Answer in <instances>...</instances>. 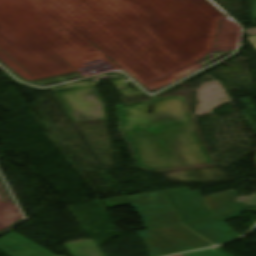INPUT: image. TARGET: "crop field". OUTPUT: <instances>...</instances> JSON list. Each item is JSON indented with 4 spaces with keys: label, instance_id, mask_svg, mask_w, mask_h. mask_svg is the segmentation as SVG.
Segmentation results:
<instances>
[{
    "label": "crop field",
    "instance_id": "crop-field-1",
    "mask_svg": "<svg viewBox=\"0 0 256 256\" xmlns=\"http://www.w3.org/2000/svg\"><path fill=\"white\" fill-rule=\"evenodd\" d=\"M107 206L130 203L145 229L185 223L212 216L198 191L188 188L157 191L105 200Z\"/></svg>",
    "mask_w": 256,
    "mask_h": 256
},
{
    "label": "crop field",
    "instance_id": "crop-field-2",
    "mask_svg": "<svg viewBox=\"0 0 256 256\" xmlns=\"http://www.w3.org/2000/svg\"><path fill=\"white\" fill-rule=\"evenodd\" d=\"M237 196L238 195L233 190L204 196L203 199L205 200L213 215L236 208H238V210L216 215L185 225L216 245L239 236L237 233L233 232L223 221L240 216L242 211L256 212V208H244L245 206L243 207L242 205L232 203V201Z\"/></svg>",
    "mask_w": 256,
    "mask_h": 256
},
{
    "label": "crop field",
    "instance_id": "crop-field-3",
    "mask_svg": "<svg viewBox=\"0 0 256 256\" xmlns=\"http://www.w3.org/2000/svg\"><path fill=\"white\" fill-rule=\"evenodd\" d=\"M136 233L145 243L149 256H163L212 246L181 225Z\"/></svg>",
    "mask_w": 256,
    "mask_h": 256
},
{
    "label": "crop field",
    "instance_id": "crop-field-5",
    "mask_svg": "<svg viewBox=\"0 0 256 256\" xmlns=\"http://www.w3.org/2000/svg\"><path fill=\"white\" fill-rule=\"evenodd\" d=\"M247 39L250 41V43L256 49V37H250V38H247Z\"/></svg>",
    "mask_w": 256,
    "mask_h": 256
},
{
    "label": "crop field",
    "instance_id": "crop-field-4",
    "mask_svg": "<svg viewBox=\"0 0 256 256\" xmlns=\"http://www.w3.org/2000/svg\"><path fill=\"white\" fill-rule=\"evenodd\" d=\"M0 250L11 256H57L14 231L0 239Z\"/></svg>",
    "mask_w": 256,
    "mask_h": 256
}]
</instances>
